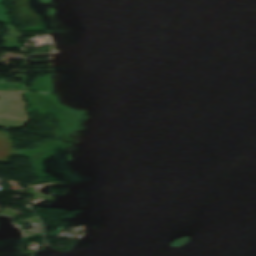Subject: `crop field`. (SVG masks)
Instances as JSON below:
<instances>
[{"label":"crop field","mask_w":256,"mask_h":256,"mask_svg":"<svg viewBox=\"0 0 256 256\" xmlns=\"http://www.w3.org/2000/svg\"><path fill=\"white\" fill-rule=\"evenodd\" d=\"M23 91H0V126L22 129L30 120L22 100Z\"/></svg>","instance_id":"obj_1"},{"label":"crop field","mask_w":256,"mask_h":256,"mask_svg":"<svg viewBox=\"0 0 256 256\" xmlns=\"http://www.w3.org/2000/svg\"><path fill=\"white\" fill-rule=\"evenodd\" d=\"M8 32H9V35H5L2 39L3 40H18L17 36H16V29L14 27V25H11V24H5Z\"/></svg>","instance_id":"obj_2"},{"label":"crop field","mask_w":256,"mask_h":256,"mask_svg":"<svg viewBox=\"0 0 256 256\" xmlns=\"http://www.w3.org/2000/svg\"><path fill=\"white\" fill-rule=\"evenodd\" d=\"M17 42L18 41H6L4 48H22Z\"/></svg>","instance_id":"obj_3"}]
</instances>
